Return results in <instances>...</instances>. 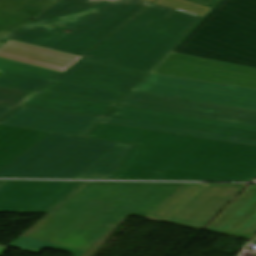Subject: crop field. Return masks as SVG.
<instances>
[{"instance_id": "obj_1", "label": "crop field", "mask_w": 256, "mask_h": 256, "mask_svg": "<svg viewBox=\"0 0 256 256\" xmlns=\"http://www.w3.org/2000/svg\"><path fill=\"white\" fill-rule=\"evenodd\" d=\"M5 182L0 181V186ZM185 185L88 183L8 247L0 246V254L14 247L82 255L125 217L147 218Z\"/></svg>"}, {"instance_id": "obj_2", "label": "crop field", "mask_w": 256, "mask_h": 256, "mask_svg": "<svg viewBox=\"0 0 256 256\" xmlns=\"http://www.w3.org/2000/svg\"><path fill=\"white\" fill-rule=\"evenodd\" d=\"M138 144L114 179L254 181L256 147L99 123L88 136Z\"/></svg>"}, {"instance_id": "obj_3", "label": "crop field", "mask_w": 256, "mask_h": 256, "mask_svg": "<svg viewBox=\"0 0 256 256\" xmlns=\"http://www.w3.org/2000/svg\"><path fill=\"white\" fill-rule=\"evenodd\" d=\"M172 52L256 68V0H222Z\"/></svg>"}, {"instance_id": "obj_4", "label": "crop field", "mask_w": 256, "mask_h": 256, "mask_svg": "<svg viewBox=\"0 0 256 256\" xmlns=\"http://www.w3.org/2000/svg\"><path fill=\"white\" fill-rule=\"evenodd\" d=\"M36 21L106 38L151 2L143 0H56ZM61 27V26H60Z\"/></svg>"}, {"instance_id": "obj_5", "label": "crop field", "mask_w": 256, "mask_h": 256, "mask_svg": "<svg viewBox=\"0 0 256 256\" xmlns=\"http://www.w3.org/2000/svg\"><path fill=\"white\" fill-rule=\"evenodd\" d=\"M200 19L153 4L109 40L166 55Z\"/></svg>"}, {"instance_id": "obj_6", "label": "crop field", "mask_w": 256, "mask_h": 256, "mask_svg": "<svg viewBox=\"0 0 256 256\" xmlns=\"http://www.w3.org/2000/svg\"><path fill=\"white\" fill-rule=\"evenodd\" d=\"M133 91L256 111V90L248 88L149 73Z\"/></svg>"}, {"instance_id": "obj_7", "label": "crop field", "mask_w": 256, "mask_h": 256, "mask_svg": "<svg viewBox=\"0 0 256 256\" xmlns=\"http://www.w3.org/2000/svg\"><path fill=\"white\" fill-rule=\"evenodd\" d=\"M115 144L70 136L14 178L73 179Z\"/></svg>"}, {"instance_id": "obj_8", "label": "crop field", "mask_w": 256, "mask_h": 256, "mask_svg": "<svg viewBox=\"0 0 256 256\" xmlns=\"http://www.w3.org/2000/svg\"><path fill=\"white\" fill-rule=\"evenodd\" d=\"M85 184L8 181L0 187V213H48Z\"/></svg>"}, {"instance_id": "obj_9", "label": "crop field", "mask_w": 256, "mask_h": 256, "mask_svg": "<svg viewBox=\"0 0 256 256\" xmlns=\"http://www.w3.org/2000/svg\"><path fill=\"white\" fill-rule=\"evenodd\" d=\"M119 105L256 127L255 111L177 98L130 92Z\"/></svg>"}, {"instance_id": "obj_10", "label": "crop field", "mask_w": 256, "mask_h": 256, "mask_svg": "<svg viewBox=\"0 0 256 256\" xmlns=\"http://www.w3.org/2000/svg\"><path fill=\"white\" fill-rule=\"evenodd\" d=\"M151 72L256 89V69L173 53Z\"/></svg>"}, {"instance_id": "obj_11", "label": "crop field", "mask_w": 256, "mask_h": 256, "mask_svg": "<svg viewBox=\"0 0 256 256\" xmlns=\"http://www.w3.org/2000/svg\"><path fill=\"white\" fill-rule=\"evenodd\" d=\"M146 74L84 58L55 81L127 93Z\"/></svg>"}, {"instance_id": "obj_12", "label": "crop field", "mask_w": 256, "mask_h": 256, "mask_svg": "<svg viewBox=\"0 0 256 256\" xmlns=\"http://www.w3.org/2000/svg\"><path fill=\"white\" fill-rule=\"evenodd\" d=\"M101 119L103 118L20 107L0 125L83 137Z\"/></svg>"}, {"instance_id": "obj_13", "label": "crop field", "mask_w": 256, "mask_h": 256, "mask_svg": "<svg viewBox=\"0 0 256 256\" xmlns=\"http://www.w3.org/2000/svg\"><path fill=\"white\" fill-rule=\"evenodd\" d=\"M246 186L208 184L165 221L194 229L204 228Z\"/></svg>"}, {"instance_id": "obj_14", "label": "crop field", "mask_w": 256, "mask_h": 256, "mask_svg": "<svg viewBox=\"0 0 256 256\" xmlns=\"http://www.w3.org/2000/svg\"><path fill=\"white\" fill-rule=\"evenodd\" d=\"M51 25L31 22L5 36L3 38L18 40L38 46H43L59 51H64L83 56L103 38L75 32L64 33L67 29L53 27Z\"/></svg>"}, {"instance_id": "obj_15", "label": "crop field", "mask_w": 256, "mask_h": 256, "mask_svg": "<svg viewBox=\"0 0 256 256\" xmlns=\"http://www.w3.org/2000/svg\"><path fill=\"white\" fill-rule=\"evenodd\" d=\"M0 104L105 117L114 105L0 87Z\"/></svg>"}, {"instance_id": "obj_16", "label": "crop field", "mask_w": 256, "mask_h": 256, "mask_svg": "<svg viewBox=\"0 0 256 256\" xmlns=\"http://www.w3.org/2000/svg\"><path fill=\"white\" fill-rule=\"evenodd\" d=\"M206 229L248 239L256 236V186L242 192Z\"/></svg>"}, {"instance_id": "obj_17", "label": "crop field", "mask_w": 256, "mask_h": 256, "mask_svg": "<svg viewBox=\"0 0 256 256\" xmlns=\"http://www.w3.org/2000/svg\"><path fill=\"white\" fill-rule=\"evenodd\" d=\"M86 57L149 72L164 55L107 40Z\"/></svg>"}, {"instance_id": "obj_18", "label": "crop field", "mask_w": 256, "mask_h": 256, "mask_svg": "<svg viewBox=\"0 0 256 256\" xmlns=\"http://www.w3.org/2000/svg\"><path fill=\"white\" fill-rule=\"evenodd\" d=\"M107 117L256 140V132L224 128V127H218V126H212V125H205V124H199V123H193V122H186V121H180V120H174V119H167V118H161V117H155V116H148V115H142V114H136V113H129V112H123V111H117V110H113Z\"/></svg>"}, {"instance_id": "obj_19", "label": "crop field", "mask_w": 256, "mask_h": 256, "mask_svg": "<svg viewBox=\"0 0 256 256\" xmlns=\"http://www.w3.org/2000/svg\"><path fill=\"white\" fill-rule=\"evenodd\" d=\"M48 135V133L0 126V170Z\"/></svg>"}, {"instance_id": "obj_20", "label": "crop field", "mask_w": 256, "mask_h": 256, "mask_svg": "<svg viewBox=\"0 0 256 256\" xmlns=\"http://www.w3.org/2000/svg\"><path fill=\"white\" fill-rule=\"evenodd\" d=\"M132 147L118 143L74 179H112Z\"/></svg>"}, {"instance_id": "obj_21", "label": "crop field", "mask_w": 256, "mask_h": 256, "mask_svg": "<svg viewBox=\"0 0 256 256\" xmlns=\"http://www.w3.org/2000/svg\"><path fill=\"white\" fill-rule=\"evenodd\" d=\"M41 93L116 104L125 94L53 82Z\"/></svg>"}, {"instance_id": "obj_22", "label": "crop field", "mask_w": 256, "mask_h": 256, "mask_svg": "<svg viewBox=\"0 0 256 256\" xmlns=\"http://www.w3.org/2000/svg\"><path fill=\"white\" fill-rule=\"evenodd\" d=\"M68 136L51 134L24 155L16 159L14 162L6 166L0 171L1 178H13L28 165L38 159L40 156L48 152L50 149L58 145Z\"/></svg>"}, {"instance_id": "obj_23", "label": "crop field", "mask_w": 256, "mask_h": 256, "mask_svg": "<svg viewBox=\"0 0 256 256\" xmlns=\"http://www.w3.org/2000/svg\"><path fill=\"white\" fill-rule=\"evenodd\" d=\"M101 122L256 146V141L218 136V135H212V134H205V133H199V132H192V131H186V130H180V129L167 128V127H160V126H154V125H147V124H141V123H134V122H128V121H122V120L105 118Z\"/></svg>"}, {"instance_id": "obj_24", "label": "crop field", "mask_w": 256, "mask_h": 256, "mask_svg": "<svg viewBox=\"0 0 256 256\" xmlns=\"http://www.w3.org/2000/svg\"><path fill=\"white\" fill-rule=\"evenodd\" d=\"M207 184H188L147 219L163 222Z\"/></svg>"}, {"instance_id": "obj_25", "label": "crop field", "mask_w": 256, "mask_h": 256, "mask_svg": "<svg viewBox=\"0 0 256 256\" xmlns=\"http://www.w3.org/2000/svg\"><path fill=\"white\" fill-rule=\"evenodd\" d=\"M9 40L8 39H0V48L7 43ZM0 70L1 71H6V72H11V73H17V74H22V75H28V76H33V77H39V78H44V79H50L53 80L57 76L61 74V72L41 68V67H36L20 62H15L7 59L0 58Z\"/></svg>"}, {"instance_id": "obj_26", "label": "crop field", "mask_w": 256, "mask_h": 256, "mask_svg": "<svg viewBox=\"0 0 256 256\" xmlns=\"http://www.w3.org/2000/svg\"><path fill=\"white\" fill-rule=\"evenodd\" d=\"M49 82L51 81L0 71V86L4 87L18 88L38 92Z\"/></svg>"}, {"instance_id": "obj_27", "label": "crop field", "mask_w": 256, "mask_h": 256, "mask_svg": "<svg viewBox=\"0 0 256 256\" xmlns=\"http://www.w3.org/2000/svg\"><path fill=\"white\" fill-rule=\"evenodd\" d=\"M115 109L129 111V112L142 113V114H148V115L167 117V118L186 120V121H193V122H199V123H205V124H212V125H218V126H224V127H231V128H237V129H243V130L256 131V128H253V127L221 123V122H215V121H209V120H202V119H196V118H190V117H184V116H177V115H171V114H165V113H158V112H152V111H146V110H140V109L121 107V106H117Z\"/></svg>"}, {"instance_id": "obj_28", "label": "crop field", "mask_w": 256, "mask_h": 256, "mask_svg": "<svg viewBox=\"0 0 256 256\" xmlns=\"http://www.w3.org/2000/svg\"><path fill=\"white\" fill-rule=\"evenodd\" d=\"M155 4L203 17L210 8L185 0H158Z\"/></svg>"}, {"instance_id": "obj_29", "label": "crop field", "mask_w": 256, "mask_h": 256, "mask_svg": "<svg viewBox=\"0 0 256 256\" xmlns=\"http://www.w3.org/2000/svg\"><path fill=\"white\" fill-rule=\"evenodd\" d=\"M31 21L32 20L0 13V37Z\"/></svg>"}, {"instance_id": "obj_30", "label": "crop field", "mask_w": 256, "mask_h": 256, "mask_svg": "<svg viewBox=\"0 0 256 256\" xmlns=\"http://www.w3.org/2000/svg\"><path fill=\"white\" fill-rule=\"evenodd\" d=\"M16 107H10V106H3L0 105V120H2L4 117L9 115L11 112H13Z\"/></svg>"}, {"instance_id": "obj_31", "label": "crop field", "mask_w": 256, "mask_h": 256, "mask_svg": "<svg viewBox=\"0 0 256 256\" xmlns=\"http://www.w3.org/2000/svg\"><path fill=\"white\" fill-rule=\"evenodd\" d=\"M189 1L198 3L210 8H212L214 5H216L219 2V0H189Z\"/></svg>"}, {"instance_id": "obj_32", "label": "crop field", "mask_w": 256, "mask_h": 256, "mask_svg": "<svg viewBox=\"0 0 256 256\" xmlns=\"http://www.w3.org/2000/svg\"><path fill=\"white\" fill-rule=\"evenodd\" d=\"M147 1H151V2H153L154 0H147Z\"/></svg>"}]
</instances>
